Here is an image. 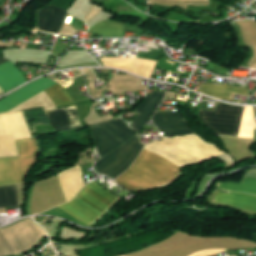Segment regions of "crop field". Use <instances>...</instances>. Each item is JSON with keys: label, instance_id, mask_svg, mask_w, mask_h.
I'll list each match as a JSON object with an SVG mask.
<instances>
[{"label": "crop field", "instance_id": "1", "mask_svg": "<svg viewBox=\"0 0 256 256\" xmlns=\"http://www.w3.org/2000/svg\"><path fill=\"white\" fill-rule=\"evenodd\" d=\"M144 149L164 156L180 168L223 154L196 135L163 138L161 143L155 141ZM158 155L142 150L130 169L115 182L132 191L167 185L182 171L177 165Z\"/></svg>", "mask_w": 256, "mask_h": 256}, {"label": "crop field", "instance_id": "2", "mask_svg": "<svg viewBox=\"0 0 256 256\" xmlns=\"http://www.w3.org/2000/svg\"><path fill=\"white\" fill-rule=\"evenodd\" d=\"M56 84V82L46 78L42 77L29 85L23 87L22 89L18 90L17 92L7 96L6 98L0 100V102L5 105L10 110L14 107L22 104L24 101L28 100L29 98L43 92L44 90L48 89L52 85ZM54 102L55 106H63L68 104H73V100L70 98V96L67 94V92L64 90L62 86H60L58 83L48 90L44 91ZM2 104H0V113L1 112H9L6 107H4ZM69 117V120L71 122L72 128H78L82 127V123L78 117L77 109L75 106L65 108ZM65 109H58V110H52V111H46L51 125L57 130V131H64L68 129H72L71 125L69 123L67 114L65 112ZM51 125H40L35 124V128H53ZM55 129H35L36 132L49 134V133H55L57 132Z\"/></svg>", "mask_w": 256, "mask_h": 256}, {"label": "crop field", "instance_id": "3", "mask_svg": "<svg viewBox=\"0 0 256 256\" xmlns=\"http://www.w3.org/2000/svg\"><path fill=\"white\" fill-rule=\"evenodd\" d=\"M117 200L98 184L91 182L72 201L58 207L82 223L90 224Z\"/></svg>", "mask_w": 256, "mask_h": 256}, {"label": "crop field", "instance_id": "4", "mask_svg": "<svg viewBox=\"0 0 256 256\" xmlns=\"http://www.w3.org/2000/svg\"><path fill=\"white\" fill-rule=\"evenodd\" d=\"M19 158L0 159V171L32 167L36 162V139L15 141ZM30 168L0 172V185L23 183Z\"/></svg>", "mask_w": 256, "mask_h": 256}, {"label": "crop field", "instance_id": "5", "mask_svg": "<svg viewBox=\"0 0 256 256\" xmlns=\"http://www.w3.org/2000/svg\"><path fill=\"white\" fill-rule=\"evenodd\" d=\"M91 129L101 157L112 152L137 134L116 118L92 126Z\"/></svg>", "mask_w": 256, "mask_h": 256}, {"label": "crop field", "instance_id": "6", "mask_svg": "<svg viewBox=\"0 0 256 256\" xmlns=\"http://www.w3.org/2000/svg\"><path fill=\"white\" fill-rule=\"evenodd\" d=\"M29 138L22 113L0 114V158L18 156L14 140Z\"/></svg>", "mask_w": 256, "mask_h": 256}, {"label": "crop field", "instance_id": "7", "mask_svg": "<svg viewBox=\"0 0 256 256\" xmlns=\"http://www.w3.org/2000/svg\"><path fill=\"white\" fill-rule=\"evenodd\" d=\"M142 147H144V145L140 144L136 137L133 138L113 153L95 162V171L99 174H104L111 179H115L121 173L126 171Z\"/></svg>", "mask_w": 256, "mask_h": 256}, {"label": "crop field", "instance_id": "8", "mask_svg": "<svg viewBox=\"0 0 256 256\" xmlns=\"http://www.w3.org/2000/svg\"><path fill=\"white\" fill-rule=\"evenodd\" d=\"M243 107L217 104L215 112L201 110L203 123L217 134L237 136Z\"/></svg>", "mask_w": 256, "mask_h": 256}, {"label": "crop field", "instance_id": "9", "mask_svg": "<svg viewBox=\"0 0 256 256\" xmlns=\"http://www.w3.org/2000/svg\"><path fill=\"white\" fill-rule=\"evenodd\" d=\"M152 122L157 126L159 132H164L163 136L194 133L180 112H155Z\"/></svg>", "mask_w": 256, "mask_h": 256}, {"label": "crop field", "instance_id": "10", "mask_svg": "<svg viewBox=\"0 0 256 256\" xmlns=\"http://www.w3.org/2000/svg\"><path fill=\"white\" fill-rule=\"evenodd\" d=\"M100 60L105 66L131 71L147 78L153 71L157 61L142 58H102Z\"/></svg>", "mask_w": 256, "mask_h": 256}, {"label": "crop field", "instance_id": "11", "mask_svg": "<svg viewBox=\"0 0 256 256\" xmlns=\"http://www.w3.org/2000/svg\"><path fill=\"white\" fill-rule=\"evenodd\" d=\"M66 11L49 5L37 11V30L58 33Z\"/></svg>", "mask_w": 256, "mask_h": 256}, {"label": "crop field", "instance_id": "12", "mask_svg": "<svg viewBox=\"0 0 256 256\" xmlns=\"http://www.w3.org/2000/svg\"><path fill=\"white\" fill-rule=\"evenodd\" d=\"M81 175L83 174L79 166H75L57 175L66 202L75 197L84 186Z\"/></svg>", "mask_w": 256, "mask_h": 256}, {"label": "crop field", "instance_id": "13", "mask_svg": "<svg viewBox=\"0 0 256 256\" xmlns=\"http://www.w3.org/2000/svg\"><path fill=\"white\" fill-rule=\"evenodd\" d=\"M8 60L0 57V63L6 62ZM27 82L25 78L20 74L17 68L11 61L3 63L0 65V87L4 92L12 89L16 85H21ZM0 88V94L3 93Z\"/></svg>", "mask_w": 256, "mask_h": 256}, {"label": "crop field", "instance_id": "14", "mask_svg": "<svg viewBox=\"0 0 256 256\" xmlns=\"http://www.w3.org/2000/svg\"><path fill=\"white\" fill-rule=\"evenodd\" d=\"M163 91L155 90L153 94H147L143 103L141 104L137 114L138 116L130 125L134 130L138 131L143 127L145 122L149 119L156 105L162 100L164 96Z\"/></svg>", "mask_w": 256, "mask_h": 256}, {"label": "crop field", "instance_id": "15", "mask_svg": "<svg viewBox=\"0 0 256 256\" xmlns=\"http://www.w3.org/2000/svg\"><path fill=\"white\" fill-rule=\"evenodd\" d=\"M198 92L228 101L232 100L234 94L248 96L247 89L244 88L206 83L199 87Z\"/></svg>", "mask_w": 256, "mask_h": 256}, {"label": "crop field", "instance_id": "16", "mask_svg": "<svg viewBox=\"0 0 256 256\" xmlns=\"http://www.w3.org/2000/svg\"><path fill=\"white\" fill-rule=\"evenodd\" d=\"M214 201L232 204L246 210L256 211V196L252 195L230 192L228 194H223L217 192Z\"/></svg>", "mask_w": 256, "mask_h": 256}, {"label": "crop field", "instance_id": "17", "mask_svg": "<svg viewBox=\"0 0 256 256\" xmlns=\"http://www.w3.org/2000/svg\"><path fill=\"white\" fill-rule=\"evenodd\" d=\"M124 24L106 20L95 24L89 32L103 37H123Z\"/></svg>", "mask_w": 256, "mask_h": 256}, {"label": "crop field", "instance_id": "18", "mask_svg": "<svg viewBox=\"0 0 256 256\" xmlns=\"http://www.w3.org/2000/svg\"><path fill=\"white\" fill-rule=\"evenodd\" d=\"M216 189H224L228 191L242 192L256 195V179L243 177L241 183L219 182Z\"/></svg>", "mask_w": 256, "mask_h": 256}, {"label": "crop field", "instance_id": "19", "mask_svg": "<svg viewBox=\"0 0 256 256\" xmlns=\"http://www.w3.org/2000/svg\"><path fill=\"white\" fill-rule=\"evenodd\" d=\"M19 207L15 185L0 187V208Z\"/></svg>", "mask_w": 256, "mask_h": 256}, {"label": "crop field", "instance_id": "20", "mask_svg": "<svg viewBox=\"0 0 256 256\" xmlns=\"http://www.w3.org/2000/svg\"><path fill=\"white\" fill-rule=\"evenodd\" d=\"M255 127L256 125L252 116V107H244L238 137L252 138L253 129Z\"/></svg>", "mask_w": 256, "mask_h": 256}, {"label": "crop field", "instance_id": "21", "mask_svg": "<svg viewBox=\"0 0 256 256\" xmlns=\"http://www.w3.org/2000/svg\"><path fill=\"white\" fill-rule=\"evenodd\" d=\"M13 252L0 234V256L12 255Z\"/></svg>", "mask_w": 256, "mask_h": 256}, {"label": "crop field", "instance_id": "22", "mask_svg": "<svg viewBox=\"0 0 256 256\" xmlns=\"http://www.w3.org/2000/svg\"><path fill=\"white\" fill-rule=\"evenodd\" d=\"M225 251L224 249H209V250H203V251H198L190 256H211L213 254L219 253Z\"/></svg>", "mask_w": 256, "mask_h": 256}, {"label": "crop field", "instance_id": "23", "mask_svg": "<svg viewBox=\"0 0 256 256\" xmlns=\"http://www.w3.org/2000/svg\"><path fill=\"white\" fill-rule=\"evenodd\" d=\"M115 77H116V76L114 75L112 79H115Z\"/></svg>", "mask_w": 256, "mask_h": 256}]
</instances>
